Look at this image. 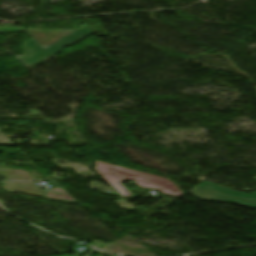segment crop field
<instances>
[{"label": "crop field", "instance_id": "1", "mask_svg": "<svg viewBox=\"0 0 256 256\" xmlns=\"http://www.w3.org/2000/svg\"><path fill=\"white\" fill-rule=\"evenodd\" d=\"M95 169L115 190L124 198L132 197L131 192L127 191L124 186L119 184L123 179H132L142 188H151L161 191L167 195L180 198L185 193L181 192L168 179L98 162L95 163Z\"/></svg>", "mask_w": 256, "mask_h": 256}, {"label": "crop field", "instance_id": "2", "mask_svg": "<svg viewBox=\"0 0 256 256\" xmlns=\"http://www.w3.org/2000/svg\"><path fill=\"white\" fill-rule=\"evenodd\" d=\"M19 31H24L22 27H0V32H9V33H17ZM28 32V31H26ZM29 36L31 34L28 32ZM93 34L88 26H84L70 35L52 43L51 45L43 48L37 40L33 37L28 42L24 43L23 51L26 53L21 56L19 60L24 61L28 67H33L44 60L52 57L56 53L63 50V47L72 45L83 38Z\"/></svg>", "mask_w": 256, "mask_h": 256}, {"label": "crop field", "instance_id": "3", "mask_svg": "<svg viewBox=\"0 0 256 256\" xmlns=\"http://www.w3.org/2000/svg\"><path fill=\"white\" fill-rule=\"evenodd\" d=\"M195 197H197L199 200H205V201H213V202H224V203H236L239 205L246 206L248 208H255L256 209V201L253 200H245V199H239V198H232L227 197L203 190L196 189L193 192H191Z\"/></svg>", "mask_w": 256, "mask_h": 256}, {"label": "crop field", "instance_id": "4", "mask_svg": "<svg viewBox=\"0 0 256 256\" xmlns=\"http://www.w3.org/2000/svg\"><path fill=\"white\" fill-rule=\"evenodd\" d=\"M199 188H203V189H207V190H211V191H215V192H219V193H223V194H227V195L239 197V198L256 199V193L243 194V193L234 191L228 187L213 184V183L206 182L203 185H201Z\"/></svg>", "mask_w": 256, "mask_h": 256}, {"label": "crop field", "instance_id": "5", "mask_svg": "<svg viewBox=\"0 0 256 256\" xmlns=\"http://www.w3.org/2000/svg\"><path fill=\"white\" fill-rule=\"evenodd\" d=\"M252 180H254V181L256 182V178H254V179H252Z\"/></svg>", "mask_w": 256, "mask_h": 256}]
</instances>
